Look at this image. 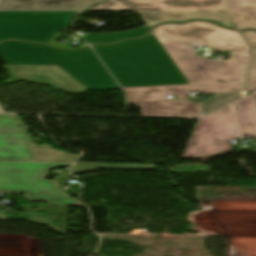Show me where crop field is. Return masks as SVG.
Listing matches in <instances>:
<instances>
[{
	"label": "crop field",
	"mask_w": 256,
	"mask_h": 256,
	"mask_svg": "<svg viewBox=\"0 0 256 256\" xmlns=\"http://www.w3.org/2000/svg\"><path fill=\"white\" fill-rule=\"evenodd\" d=\"M240 93L213 95V102H201L202 115L240 98ZM212 112V111H211Z\"/></svg>",
	"instance_id": "crop-field-17"
},
{
	"label": "crop field",
	"mask_w": 256,
	"mask_h": 256,
	"mask_svg": "<svg viewBox=\"0 0 256 256\" xmlns=\"http://www.w3.org/2000/svg\"><path fill=\"white\" fill-rule=\"evenodd\" d=\"M96 169H138L151 170L155 169L154 164H127V163H75L72 174Z\"/></svg>",
	"instance_id": "crop-field-14"
},
{
	"label": "crop field",
	"mask_w": 256,
	"mask_h": 256,
	"mask_svg": "<svg viewBox=\"0 0 256 256\" xmlns=\"http://www.w3.org/2000/svg\"><path fill=\"white\" fill-rule=\"evenodd\" d=\"M251 47L249 66L243 91H256V31L242 32Z\"/></svg>",
	"instance_id": "crop-field-16"
},
{
	"label": "crop field",
	"mask_w": 256,
	"mask_h": 256,
	"mask_svg": "<svg viewBox=\"0 0 256 256\" xmlns=\"http://www.w3.org/2000/svg\"><path fill=\"white\" fill-rule=\"evenodd\" d=\"M8 219H15V216L10 215Z\"/></svg>",
	"instance_id": "crop-field-22"
},
{
	"label": "crop field",
	"mask_w": 256,
	"mask_h": 256,
	"mask_svg": "<svg viewBox=\"0 0 256 256\" xmlns=\"http://www.w3.org/2000/svg\"><path fill=\"white\" fill-rule=\"evenodd\" d=\"M154 35L189 81L190 85L242 83L247 56L230 54L229 60L195 56L186 41L247 54L248 47L239 32L211 23L165 24Z\"/></svg>",
	"instance_id": "crop-field-1"
},
{
	"label": "crop field",
	"mask_w": 256,
	"mask_h": 256,
	"mask_svg": "<svg viewBox=\"0 0 256 256\" xmlns=\"http://www.w3.org/2000/svg\"><path fill=\"white\" fill-rule=\"evenodd\" d=\"M242 84L230 85H169L123 88L128 103L141 107L143 116L154 117H197L200 116L197 104L189 100L166 101V95H177L178 99L187 98L190 91L205 93L240 91Z\"/></svg>",
	"instance_id": "crop-field-5"
},
{
	"label": "crop field",
	"mask_w": 256,
	"mask_h": 256,
	"mask_svg": "<svg viewBox=\"0 0 256 256\" xmlns=\"http://www.w3.org/2000/svg\"><path fill=\"white\" fill-rule=\"evenodd\" d=\"M121 87L189 84L155 36L92 46Z\"/></svg>",
	"instance_id": "crop-field-2"
},
{
	"label": "crop field",
	"mask_w": 256,
	"mask_h": 256,
	"mask_svg": "<svg viewBox=\"0 0 256 256\" xmlns=\"http://www.w3.org/2000/svg\"><path fill=\"white\" fill-rule=\"evenodd\" d=\"M66 179H67V176L59 175V176L55 177L54 179H52V181L61 183V182H65Z\"/></svg>",
	"instance_id": "crop-field-20"
},
{
	"label": "crop field",
	"mask_w": 256,
	"mask_h": 256,
	"mask_svg": "<svg viewBox=\"0 0 256 256\" xmlns=\"http://www.w3.org/2000/svg\"><path fill=\"white\" fill-rule=\"evenodd\" d=\"M225 0H110L88 11H224Z\"/></svg>",
	"instance_id": "crop-field-8"
},
{
	"label": "crop field",
	"mask_w": 256,
	"mask_h": 256,
	"mask_svg": "<svg viewBox=\"0 0 256 256\" xmlns=\"http://www.w3.org/2000/svg\"><path fill=\"white\" fill-rule=\"evenodd\" d=\"M0 160L35 161L29 134L18 115H0Z\"/></svg>",
	"instance_id": "crop-field-10"
},
{
	"label": "crop field",
	"mask_w": 256,
	"mask_h": 256,
	"mask_svg": "<svg viewBox=\"0 0 256 256\" xmlns=\"http://www.w3.org/2000/svg\"><path fill=\"white\" fill-rule=\"evenodd\" d=\"M149 31L147 26L122 32V33H99V34H90L84 39L89 43H113L120 39L127 38H138L144 36Z\"/></svg>",
	"instance_id": "crop-field-15"
},
{
	"label": "crop field",
	"mask_w": 256,
	"mask_h": 256,
	"mask_svg": "<svg viewBox=\"0 0 256 256\" xmlns=\"http://www.w3.org/2000/svg\"><path fill=\"white\" fill-rule=\"evenodd\" d=\"M7 64L58 65L91 90L119 89L89 46L83 50H60L20 41L0 43Z\"/></svg>",
	"instance_id": "crop-field-3"
},
{
	"label": "crop field",
	"mask_w": 256,
	"mask_h": 256,
	"mask_svg": "<svg viewBox=\"0 0 256 256\" xmlns=\"http://www.w3.org/2000/svg\"><path fill=\"white\" fill-rule=\"evenodd\" d=\"M240 138L230 109L225 107L199 119L182 158L231 150L230 139Z\"/></svg>",
	"instance_id": "crop-field-7"
},
{
	"label": "crop field",
	"mask_w": 256,
	"mask_h": 256,
	"mask_svg": "<svg viewBox=\"0 0 256 256\" xmlns=\"http://www.w3.org/2000/svg\"><path fill=\"white\" fill-rule=\"evenodd\" d=\"M0 112H4V110L1 108V106H0Z\"/></svg>",
	"instance_id": "crop-field-23"
},
{
	"label": "crop field",
	"mask_w": 256,
	"mask_h": 256,
	"mask_svg": "<svg viewBox=\"0 0 256 256\" xmlns=\"http://www.w3.org/2000/svg\"><path fill=\"white\" fill-rule=\"evenodd\" d=\"M149 28L165 21L184 22L187 19H207L218 25L235 28L225 12H138ZM236 29V28H235Z\"/></svg>",
	"instance_id": "crop-field-12"
},
{
	"label": "crop field",
	"mask_w": 256,
	"mask_h": 256,
	"mask_svg": "<svg viewBox=\"0 0 256 256\" xmlns=\"http://www.w3.org/2000/svg\"><path fill=\"white\" fill-rule=\"evenodd\" d=\"M239 29H256V12L229 13Z\"/></svg>",
	"instance_id": "crop-field-18"
},
{
	"label": "crop field",
	"mask_w": 256,
	"mask_h": 256,
	"mask_svg": "<svg viewBox=\"0 0 256 256\" xmlns=\"http://www.w3.org/2000/svg\"><path fill=\"white\" fill-rule=\"evenodd\" d=\"M100 0H1L0 10H78Z\"/></svg>",
	"instance_id": "crop-field-11"
},
{
	"label": "crop field",
	"mask_w": 256,
	"mask_h": 256,
	"mask_svg": "<svg viewBox=\"0 0 256 256\" xmlns=\"http://www.w3.org/2000/svg\"><path fill=\"white\" fill-rule=\"evenodd\" d=\"M228 11H256V0H228Z\"/></svg>",
	"instance_id": "crop-field-19"
},
{
	"label": "crop field",
	"mask_w": 256,
	"mask_h": 256,
	"mask_svg": "<svg viewBox=\"0 0 256 256\" xmlns=\"http://www.w3.org/2000/svg\"><path fill=\"white\" fill-rule=\"evenodd\" d=\"M12 83L19 80L51 86L52 89L69 94H82L87 88L57 66L41 65H5Z\"/></svg>",
	"instance_id": "crop-field-9"
},
{
	"label": "crop field",
	"mask_w": 256,
	"mask_h": 256,
	"mask_svg": "<svg viewBox=\"0 0 256 256\" xmlns=\"http://www.w3.org/2000/svg\"><path fill=\"white\" fill-rule=\"evenodd\" d=\"M73 163L0 161V193H25L28 200L47 201L49 206H82L57 189L44 173Z\"/></svg>",
	"instance_id": "crop-field-4"
},
{
	"label": "crop field",
	"mask_w": 256,
	"mask_h": 256,
	"mask_svg": "<svg viewBox=\"0 0 256 256\" xmlns=\"http://www.w3.org/2000/svg\"><path fill=\"white\" fill-rule=\"evenodd\" d=\"M76 12H0V40L46 42ZM50 39V38H49Z\"/></svg>",
	"instance_id": "crop-field-6"
},
{
	"label": "crop field",
	"mask_w": 256,
	"mask_h": 256,
	"mask_svg": "<svg viewBox=\"0 0 256 256\" xmlns=\"http://www.w3.org/2000/svg\"><path fill=\"white\" fill-rule=\"evenodd\" d=\"M9 215L0 213V220L5 221Z\"/></svg>",
	"instance_id": "crop-field-21"
},
{
	"label": "crop field",
	"mask_w": 256,
	"mask_h": 256,
	"mask_svg": "<svg viewBox=\"0 0 256 256\" xmlns=\"http://www.w3.org/2000/svg\"><path fill=\"white\" fill-rule=\"evenodd\" d=\"M242 137H256V102L254 96L232 104Z\"/></svg>",
	"instance_id": "crop-field-13"
}]
</instances>
